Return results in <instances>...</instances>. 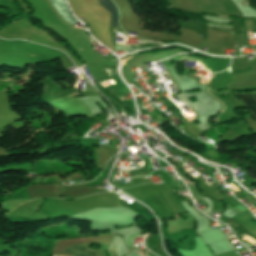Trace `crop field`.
Returning <instances> with one entry per match:
<instances>
[{"mask_svg":"<svg viewBox=\"0 0 256 256\" xmlns=\"http://www.w3.org/2000/svg\"><path fill=\"white\" fill-rule=\"evenodd\" d=\"M50 1L67 22L71 24L77 22V19L71 14L65 0H50Z\"/></svg>","mask_w":256,"mask_h":256,"instance_id":"obj_1","label":"crop field"},{"mask_svg":"<svg viewBox=\"0 0 256 256\" xmlns=\"http://www.w3.org/2000/svg\"><path fill=\"white\" fill-rule=\"evenodd\" d=\"M99 4H100V6H102L105 9L110 11V13H111V27L120 28V26L118 24L119 13L117 11V8H116L115 4L112 2V0H99Z\"/></svg>","mask_w":256,"mask_h":256,"instance_id":"obj_2","label":"crop field"},{"mask_svg":"<svg viewBox=\"0 0 256 256\" xmlns=\"http://www.w3.org/2000/svg\"><path fill=\"white\" fill-rule=\"evenodd\" d=\"M64 250H66L67 252L71 253L74 256H98L95 252L77 244H74Z\"/></svg>","mask_w":256,"mask_h":256,"instance_id":"obj_3","label":"crop field"},{"mask_svg":"<svg viewBox=\"0 0 256 256\" xmlns=\"http://www.w3.org/2000/svg\"><path fill=\"white\" fill-rule=\"evenodd\" d=\"M244 102L246 108L250 109L252 112V115H256V93H253V98L252 94H237ZM251 115V116H252Z\"/></svg>","mask_w":256,"mask_h":256,"instance_id":"obj_4","label":"crop field"},{"mask_svg":"<svg viewBox=\"0 0 256 256\" xmlns=\"http://www.w3.org/2000/svg\"><path fill=\"white\" fill-rule=\"evenodd\" d=\"M55 256V255H54Z\"/></svg>","mask_w":256,"mask_h":256,"instance_id":"obj_5","label":"crop field"}]
</instances>
